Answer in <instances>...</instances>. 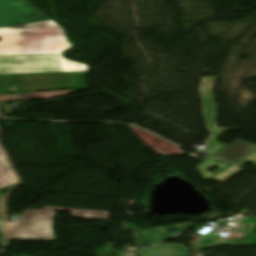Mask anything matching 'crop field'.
<instances>
[{
	"label": "crop field",
	"instance_id": "obj_1",
	"mask_svg": "<svg viewBox=\"0 0 256 256\" xmlns=\"http://www.w3.org/2000/svg\"><path fill=\"white\" fill-rule=\"evenodd\" d=\"M0 37V95L34 76H52L53 90L88 88L87 65L63 59L62 51L73 46L54 21L3 27Z\"/></svg>",
	"mask_w": 256,
	"mask_h": 256
},
{
	"label": "crop field",
	"instance_id": "obj_2",
	"mask_svg": "<svg viewBox=\"0 0 256 256\" xmlns=\"http://www.w3.org/2000/svg\"><path fill=\"white\" fill-rule=\"evenodd\" d=\"M55 210L70 211V217L108 221L110 212L50 207L25 210L19 222H7L9 240L55 241L52 224Z\"/></svg>",
	"mask_w": 256,
	"mask_h": 256
},
{
	"label": "crop field",
	"instance_id": "obj_3",
	"mask_svg": "<svg viewBox=\"0 0 256 256\" xmlns=\"http://www.w3.org/2000/svg\"><path fill=\"white\" fill-rule=\"evenodd\" d=\"M48 19L31 0H0V27Z\"/></svg>",
	"mask_w": 256,
	"mask_h": 256
},
{
	"label": "crop field",
	"instance_id": "obj_4",
	"mask_svg": "<svg viewBox=\"0 0 256 256\" xmlns=\"http://www.w3.org/2000/svg\"><path fill=\"white\" fill-rule=\"evenodd\" d=\"M210 155L238 163L253 162L256 167V145L236 139L230 146L220 142L211 143L208 150Z\"/></svg>",
	"mask_w": 256,
	"mask_h": 256
},
{
	"label": "crop field",
	"instance_id": "obj_5",
	"mask_svg": "<svg viewBox=\"0 0 256 256\" xmlns=\"http://www.w3.org/2000/svg\"><path fill=\"white\" fill-rule=\"evenodd\" d=\"M218 77H204L201 92L205 104V118L209 131L213 134V138L209 142L217 141L218 137L227 133L228 130L235 131L242 128H217L216 113L217 105L214 96V86ZM229 132V131H228Z\"/></svg>",
	"mask_w": 256,
	"mask_h": 256
},
{
	"label": "crop field",
	"instance_id": "obj_6",
	"mask_svg": "<svg viewBox=\"0 0 256 256\" xmlns=\"http://www.w3.org/2000/svg\"><path fill=\"white\" fill-rule=\"evenodd\" d=\"M214 164L217 166H220V168L215 170L213 173L208 172L207 170ZM229 165L230 164L228 163L209 157L206 160H204L202 163H200L198 166H196L195 168L201 174V176L205 178V180H208L209 178H211L212 176H214L215 174H217L218 172H220L222 169H224ZM243 170L244 169L233 165L229 167L227 170H225L224 172H222L221 174H219L218 176H216L215 178H213L212 181L223 183Z\"/></svg>",
	"mask_w": 256,
	"mask_h": 256
},
{
	"label": "crop field",
	"instance_id": "obj_7",
	"mask_svg": "<svg viewBox=\"0 0 256 256\" xmlns=\"http://www.w3.org/2000/svg\"><path fill=\"white\" fill-rule=\"evenodd\" d=\"M52 77L22 78L17 86H11L9 94L52 90Z\"/></svg>",
	"mask_w": 256,
	"mask_h": 256
},
{
	"label": "crop field",
	"instance_id": "obj_8",
	"mask_svg": "<svg viewBox=\"0 0 256 256\" xmlns=\"http://www.w3.org/2000/svg\"><path fill=\"white\" fill-rule=\"evenodd\" d=\"M221 246H248L244 238L239 239H215L200 237V239L192 246L193 251L198 252V256H202L200 250L221 247Z\"/></svg>",
	"mask_w": 256,
	"mask_h": 256
},
{
	"label": "crop field",
	"instance_id": "obj_9",
	"mask_svg": "<svg viewBox=\"0 0 256 256\" xmlns=\"http://www.w3.org/2000/svg\"><path fill=\"white\" fill-rule=\"evenodd\" d=\"M196 224L189 222L183 226H178V225H169V226H163V227H156V228H152V229H147L145 230L147 233V238H148V243L150 246L155 245L177 233H180L192 226H194ZM173 227H177L180 228L179 230L172 232L168 235H166L165 231L173 228Z\"/></svg>",
	"mask_w": 256,
	"mask_h": 256
},
{
	"label": "crop field",
	"instance_id": "obj_10",
	"mask_svg": "<svg viewBox=\"0 0 256 256\" xmlns=\"http://www.w3.org/2000/svg\"><path fill=\"white\" fill-rule=\"evenodd\" d=\"M191 249L184 245L160 244L148 250L142 256H192L188 255Z\"/></svg>",
	"mask_w": 256,
	"mask_h": 256
},
{
	"label": "crop field",
	"instance_id": "obj_11",
	"mask_svg": "<svg viewBox=\"0 0 256 256\" xmlns=\"http://www.w3.org/2000/svg\"><path fill=\"white\" fill-rule=\"evenodd\" d=\"M15 183H17V179L10 170L3 152L0 150V189Z\"/></svg>",
	"mask_w": 256,
	"mask_h": 256
},
{
	"label": "crop field",
	"instance_id": "obj_12",
	"mask_svg": "<svg viewBox=\"0 0 256 256\" xmlns=\"http://www.w3.org/2000/svg\"><path fill=\"white\" fill-rule=\"evenodd\" d=\"M122 228L124 232L134 231L136 246L147 245V239L144 230L137 229L135 226L126 223H122Z\"/></svg>",
	"mask_w": 256,
	"mask_h": 256
},
{
	"label": "crop field",
	"instance_id": "obj_13",
	"mask_svg": "<svg viewBox=\"0 0 256 256\" xmlns=\"http://www.w3.org/2000/svg\"><path fill=\"white\" fill-rule=\"evenodd\" d=\"M114 244L107 243L104 248L100 249L98 256H112Z\"/></svg>",
	"mask_w": 256,
	"mask_h": 256
},
{
	"label": "crop field",
	"instance_id": "obj_14",
	"mask_svg": "<svg viewBox=\"0 0 256 256\" xmlns=\"http://www.w3.org/2000/svg\"><path fill=\"white\" fill-rule=\"evenodd\" d=\"M0 202H3L2 194H0ZM0 224H3L2 205H0Z\"/></svg>",
	"mask_w": 256,
	"mask_h": 256
},
{
	"label": "crop field",
	"instance_id": "obj_15",
	"mask_svg": "<svg viewBox=\"0 0 256 256\" xmlns=\"http://www.w3.org/2000/svg\"><path fill=\"white\" fill-rule=\"evenodd\" d=\"M0 235L4 236L3 225H0Z\"/></svg>",
	"mask_w": 256,
	"mask_h": 256
},
{
	"label": "crop field",
	"instance_id": "obj_16",
	"mask_svg": "<svg viewBox=\"0 0 256 256\" xmlns=\"http://www.w3.org/2000/svg\"><path fill=\"white\" fill-rule=\"evenodd\" d=\"M4 246V238H0V247Z\"/></svg>",
	"mask_w": 256,
	"mask_h": 256
},
{
	"label": "crop field",
	"instance_id": "obj_17",
	"mask_svg": "<svg viewBox=\"0 0 256 256\" xmlns=\"http://www.w3.org/2000/svg\"><path fill=\"white\" fill-rule=\"evenodd\" d=\"M21 256H23V255H21Z\"/></svg>",
	"mask_w": 256,
	"mask_h": 256
}]
</instances>
